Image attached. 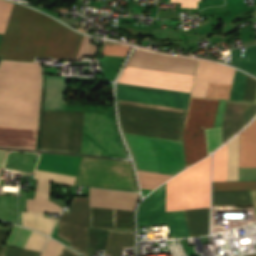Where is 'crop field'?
<instances>
[{"instance_id":"d3111659","label":"crop field","mask_w":256,"mask_h":256,"mask_svg":"<svg viewBox=\"0 0 256 256\" xmlns=\"http://www.w3.org/2000/svg\"><path fill=\"white\" fill-rule=\"evenodd\" d=\"M63 244L50 239L48 242V245L43 253L42 256H56L61 249ZM57 256H80L76 252L72 251L68 247L64 246L60 250L59 254Z\"/></svg>"},{"instance_id":"22f410ed","label":"crop field","mask_w":256,"mask_h":256,"mask_svg":"<svg viewBox=\"0 0 256 256\" xmlns=\"http://www.w3.org/2000/svg\"><path fill=\"white\" fill-rule=\"evenodd\" d=\"M255 116L256 103L227 100L222 124L223 144L236 135Z\"/></svg>"},{"instance_id":"e1f06a70","label":"crop field","mask_w":256,"mask_h":256,"mask_svg":"<svg viewBox=\"0 0 256 256\" xmlns=\"http://www.w3.org/2000/svg\"><path fill=\"white\" fill-rule=\"evenodd\" d=\"M129 49H130L129 46H123V45H116V44H113V46L104 45L102 54L126 56Z\"/></svg>"},{"instance_id":"5d738f31","label":"crop field","mask_w":256,"mask_h":256,"mask_svg":"<svg viewBox=\"0 0 256 256\" xmlns=\"http://www.w3.org/2000/svg\"><path fill=\"white\" fill-rule=\"evenodd\" d=\"M250 192V195H251V198H252V201H253V205H254V209H255V212H256V191H249Z\"/></svg>"},{"instance_id":"28ad6ade","label":"crop field","mask_w":256,"mask_h":256,"mask_svg":"<svg viewBox=\"0 0 256 256\" xmlns=\"http://www.w3.org/2000/svg\"><path fill=\"white\" fill-rule=\"evenodd\" d=\"M74 185L138 191L130 162L85 157Z\"/></svg>"},{"instance_id":"d9b57169","label":"crop field","mask_w":256,"mask_h":256,"mask_svg":"<svg viewBox=\"0 0 256 256\" xmlns=\"http://www.w3.org/2000/svg\"><path fill=\"white\" fill-rule=\"evenodd\" d=\"M256 166V119L240 133L239 167Z\"/></svg>"},{"instance_id":"d1516ede","label":"crop field","mask_w":256,"mask_h":256,"mask_svg":"<svg viewBox=\"0 0 256 256\" xmlns=\"http://www.w3.org/2000/svg\"><path fill=\"white\" fill-rule=\"evenodd\" d=\"M82 157L42 153L38 162V170L76 175ZM35 171L38 178L35 199L48 200L50 182L73 185L75 177L44 171Z\"/></svg>"},{"instance_id":"4177f3b9","label":"crop field","mask_w":256,"mask_h":256,"mask_svg":"<svg viewBox=\"0 0 256 256\" xmlns=\"http://www.w3.org/2000/svg\"><path fill=\"white\" fill-rule=\"evenodd\" d=\"M62 208L50 201L27 199L26 211L60 213Z\"/></svg>"},{"instance_id":"ac0d7876","label":"crop field","mask_w":256,"mask_h":256,"mask_svg":"<svg viewBox=\"0 0 256 256\" xmlns=\"http://www.w3.org/2000/svg\"><path fill=\"white\" fill-rule=\"evenodd\" d=\"M82 35L63 24L23 6L13 5L11 15L0 47L2 59L33 61L38 57H75ZM84 36L79 55H94L96 46L89 45Z\"/></svg>"},{"instance_id":"ae1a2a85","label":"crop field","mask_w":256,"mask_h":256,"mask_svg":"<svg viewBox=\"0 0 256 256\" xmlns=\"http://www.w3.org/2000/svg\"><path fill=\"white\" fill-rule=\"evenodd\" d=\"M256 190V182H213V191Z\"/></svg>"},{"instance_id":"e52e79f7","label":"crop field","mask_w":256,"mask_h":256,"mask_svg":"<svg viewBox=\"0 0 256 256\" xmlns=\"http://www.w3.org/2000/svg\"><path fill=\"white\" fill-rule=\"evenodd\" d=\"M123 135L137 170L175 175L184 168L182 142Z\"/></svg>"},{"instance_id":"4a817a6b","label":"crop field","mask_w":256,"mask_h":256,"mask_svg":"<svg viewBox=\"0 0 256 256\" xmlns=\"http://www.w3.org/2000/svg\"><path fill=\"white\" fill-rule=\"evenodd\" d=\"M65 77L47 76L44 110H62Z\"/></svg>"},{"instance_id":"730fd06b","label":"crop field","mask_w":256,"mask_h":256,"mask_svg":"<svg viewBox=\"0 0 256 256\" xmlns=\"http://www.w3.org/2000/svg\"><path fill=\"white\" fill-rule=\"evenodd\" d=\"M247 77V74L236 70L229 99L242 100Z\"/></svg>"},{"instance_id":"1d83c4d3","label":"crop field","mask_w":256,"mask_h":256,"mask_svg":"<svg viewBox=\"0 0 256 256\" xmlns=\"http://www.w3.org/2000/svg\"><path fill=\"white\" fill-rule=\"evenodd\" d=\"M231 85L209 83L206 97L228 99Z\"/></svg>"},{"instance_id":"eef30255","label":"crop field","mask_w":256,"mask_h":256,"mask_svg":"<svg viewBox=\"0 0 256 256\" xmlns=\"http://www.w3.org/2000/svg\"><path fill=\"white\" fill-rule=\"evenodd\" d=\"M225 146L213 153L212 181H223Z\"/></svg>"},{"instance_id":"5a996713","label":"crop field","mask_w":256,"mask_h":256,"mask_svg":"<svg viewBox=\"0 0 256 256\" xmlns=\"http://www.w3.org/2000/svg\"><path fill=\"white\" fill-rule=\"evenodd\" d=\"M123 133L182 140L185 114L118 105Z\"/></svg>"},{"instance_id":"dafd665d","label":"crop field","mask_w":256,"mask_h":256,"mask_svg":"<svg viewBox=\"0 0 256 256\" xmlns=\"http://www.w3.org/2000/svg\"><path fill=\"white\" fill-rule=\"evenodd\" d=\"M239 135L227 143L226 181L238 180Z\"/></svg>"},{"instance_id":"412701ff","label":"crop field","mask_w":256,"mask_h":256,"mask_svg":"<svg viewBox=\"0 0 256 256\" xmlns=\"http://www.w3.org/2000/svg\"><path fill=\"white\" fill-rule=\"evenodd\" d=\"M40 63H0V125L38 127Z\"/></svg>"},{"instance_id":"34b2d1b8","label":"crop field","mask_w":256,"mask_h":256,"mask_svg":"<svg viewBox=\"0 0 256 256\" xmlns=\"http://www.w3.org/2000/svg\"><path fill=\"white\" fill-rule=\"evenodd\" d=\"M85 111H44L40 150L81 154ZM83 155L129 159L114 111H86Z\"/></svg>"},{"instance_id":"d23c7cc5","label":"crop field","mask_w":256,"mask_h":256,"mask_svg":"<svg viewBox=\"0 0 256 256\" xmlns=\"http://www.w3.org/2000/svg\"><path fill=\"white\" fill-rule=\"evenodd\" d=\"M6 234L7 233L0 232V252H1L2 248H3L2 243H3L4 239H5Z\"/></svg>"},{"instance_id":"03da06ac","label":"crop field","mask_w":256,"mask_h":256,"mask_svg":"<svg viewBox=\"0 0 256 256\" xmlns=\"http://www.w3.org/2000/svg\"><path fill=\"white\" fill-rule=\"evenodd\" d=\"M197 1L200 0H170V2H181V7L197 8Z\"/></svg>"},{"instance_id":"8a807250","label":"crop field","mask_w":256,"mask_h":256,"mask_svg":"<svg viewBox=\"0 0 256 256\" xmlns=\"http://www.w3.org/2000/svg\"><path fill=\"white\" fill-rule=\"evenodd\" d=\"M196 62L194 59L135 49L126 66L194 76ZM128 67L123 69L118 82L187 93L191 91L194 77ZM120 83L116 86L117 99L184 109L187 107L190 94Z\"/></svg>"},{"instance_id":"214f88e0","label":"crop field","mask_w":256,"mask_h":256,"mask_svg":"<svg viewBox=\"0 0 256 256\" xmlns=\"http://www.w3.org/2000/svg\"><path fill=\"white\" fill-rule=\"evenodd\" d=\"M230 52L232 66L243 69L256 76V45L245 47L246 58H241L240 48L230 50Z\"/></svg>"},{"instance_id":"a9b5d70f","label":"crop field","mask_w":256,"mask_h":256,"mask_svg":"<svg viewBox=\"0 0 256 256\" xmlns=\"http://www.w3.org/2000/svg\"><path fill=\"white\" fill-rule=\"evenodd\" d=\"M141 188L153 189L168 178L170 175L154 174L137 171Z\"/></svg>"},{"instance_id":"0bd39190","label":"crop field","mask_w":256,"mask_h":256,"mask_svg":"<svg viewBox=\"0 0 256 256\" xmlns=\"http://www.w3.org/2000/svg\"><path fill=\"white\" fill-rule=\"evenodd\" d=\"M255 93H256V79L249 76L243 100L254 101Z\"/></svg>"},{"instance_id":"bc2a9ffb","label":"crop field","mask_w":256,"mask_h":256,"mask_svg":"<svg viewBox=\"0 0 256 256\" xmlns=\"http://www.w3.org/2000/svg\"><path fill=\"white\" fill-rule=\"evenodd\" d=\"M89 227L117 230V210L89 207Z\"/></svg>"},{"instance_id":"3316defc","label":"crop field","mask_w":256,"mask_h":256,"mask_svg":"<svg viewBox=\"0 0 256 256\" xmlns=\"http://www.w3.org/2000/svg\"><path fill=\"white\" fill-rule=\"evenodd\" d=\"M218 102L191 97L183 130L186 167L207 156L204 128L213 127Z\"/></svg>"},{"instance_id":"bd1437ed","label":"crop field","mask_w":256,"mask_h":256,"mask_svg":"<svg viewBox=\"0 0 256 256\" xmlns=\"http://www.w3.org/2000/svg\"><path fill=\"white\" fill-rule=\"evenodd\" d=\"M208 154L222 145L221 127L206 129Z\"/></svg>"},{"instance_id":"028f5c9d","label":"crop field","mask_w":256,"mask_h":256,"mask_svg":"<svg viewBox=\"0 0 256 256\" xmlns=\"http://www.w3.org/2000/svg\"><path fill=\"white\" fill-rule=\"evenodd\" d=\"M40 252L4 247L0 256H39Z\"/></svg>"},{"instance_id":"b54c1fbb","label":"crop field","mask_w":256,"mask_h":256,"mask_svg":"<svg viewBox=\"0 0 256 256\" xmlns=\"http://www.w3.org/2000/svg\"><path fill=\"white\" fill-rule=\"evenodd\" d=\"M6 151H7V150H1V149H0V172H1V169H2V167H3V163H4Z\"/></svg>"},{"instance_id":"d32e631a","label":"crop field","mask_w":256,"mask_h":256,"mask_svg":"<svg viewBox=\"0 0 256 256\" xmlns=\"http://www.w3.org/2000/svg\"><path fill=\"white\" fill-rule=\"evenodd\" d=\"M47 239V237L32 231L25 247L41 251Z\"/></svg>"},{"instance_id":"c21b1889","label":"crop field","mask_w":256,"mask_h":256,"mask_svg":"<svg viewBox=\"0 0 256 256\" xmlns=\"http://www.w3.org/2000/svg\"><path fill=\"white\" fill-rule=\"evenodd\" d=\"M120 103L123 104H130V105H136V106H143V107H151V108H159V109H166V110H174L179 111L183 113V109H177V108H170V107H163V106H155V105H147V104H141V103H134V102H128V101H120Z\"/></svg>"},{"instance_id":"425ffa30","label":"crop field","mask_w":256,"mask_h":256,"mask_svg":"<svg viewBox=\"0 0 256 256\" xmlns=\"http://www.w3.org/2000/svg\"><path fill=\"white\" fill-rule=\"evenodd\" d=\"M246 256H256L255 254H250V255H246Z\"/></svg>"},{"instance_id":"00972430","label":"crop field","mask_w":256,"mask_h":256,"mask_svg":"<svg viewBox=\"0 0 256 256\" xmlns=\"http://www.w3.org/2000/svg\"><path fill=\"white\" fill-rule=\"evenodd\" d=\"M219 65L199 59L195 80L215 83Z\"/></svg>"},{"instance_id":"5866460e","label":"crop field","mask_w":256,"mask_h":256,"mask_svg":"<svg viewBox=\"0 0 256 256\" xmlns=\"http://www.w3.org/2000/svg\"><path fill=\"white\" fill-rule=\"evenodd\" d=\"M234 72H235L234 69L225 65H220L216 83L231 84L234 76Z\"/></svg>"},{"instance_id":"f4fd0767","label":"crop field","mask_w":256,"mask_h":256,"mask_svg":"<svg viewBox=\"0 0 256 256\" xmlns=\"http://www.w3.org/2000/svg\"><path fill=\"white\" fill-rule=\"evenodd\" d=\"M166 183L141 202L137 226L168 224L173 237H181V211L165 212ZM209 208L182 211V237L208 235Z\"/></svg>"},{"instance_id":"d8731c3e","label":"crop field","mask_w":256,"mask_h":256,"mask_svg":"<svg viewBox=\"0 0 256 256\" xmlns=\"http://www.w3.org/2000/svg\"><path fill=\"white\" fill-rule=\"evenodd\" d=\"M210 157L167 182L166 211L209 207Z\"/></svg>"},{"instance_id":"733c2abd","label":"crop field","mask_w":256,"mask_h":256,"mask_svg":"<svg viewBox=\"0 0 256 256\" xmlns=\"http://www.w3.org/2000/svg\"><path fill=\"white\" fill-rule=\"evenodd\" d=\"M252 206L248 191L211 192V208Z\"/></svg>"},{"instance_id":"cbeb9de0","label":"crop field","mask_w":256,"mask_h":256,"mask_svg":"<svg viewBox=\"0 0 256 256\" xmlns=\"http://www.w3.org/2000/svg\"><path fill=\"white\" fill-rule=\"evenodd\" d=\"M138 193L89 188V206L133 210Z\"/></svg>"},{"instance_id":"dd49c442","label":"crop field","mask_w":256,"mask_h":256,"mask_svg":"<svg viewBox=\"0 0 256 256\" xmlns=\"http://www.w3.org/2000/svg\"><path fill=\"white\" fill-rule=\"evenodd\" d=\"M69 213L62 212L57 236L68 241ZM69 247L88 256V197H73L70 210ZM134 247V233L109 230L104 255L119 256L120 249Z\"/></svg>"},{"instance_id":"750c4746","label":"crop field","mask_w":256,"mask_h":256,"mask_svg":"<svg viewBox=\"0 0 256 256\" xmlns=\"http://www.w3.org/2000/svg\"><path fill=\"white\" fill-rule=\"evenodd\" d=\"M30 233L31 230L15 225L6 244L24 247Z\"/></svg>"},{"instance_id":"b80d0937","label":"crop field","mask_w":256,"mask_h":256,"mask_svg":"<svg viewBox=\"0 0 256 256\" xmlns=\"http://www.w3.org/2000/svg\"><path fill=\"white\" fill-rule=\"evenodd\" d=\"M208 83L195 81L191 96L205 97Z\"/></svg>"},{"instance_id":"5142ce71","label":"crop field","mask_w":256,"mask_h":256,"mask_svg":"<svg viewBox=\"0 0 256 256\" xmlns=\"http://www.w3.org/2000/svg\"><path fill=\"white\" fill-rule=\"evenodd\" d=\"M35 130L0 127V146L34 149Z\"/></svg>"},{"instance_id":"92a150f3","label":"crop field","mask_w":256,"mask_h":256,"mask_svg":"<svg viewBox=\"0 0 256 256\" xmlns=\"http://www.w3.org/2000/svg\"><path fill=\"white\" fill-rule=\"evenodd\" d=\"M23 225L49 236L57 219L44 217V213L21 212Z\"/></svg>"},{"instance_id":"c035e120","label":"crop field","mask_w":256,"mask_h":256,"mask_svg":"<svg viewBox=\"0 0 256 256\" xmlns=\"http://www.w3.org/2000/svg\"><path fill=\"white\" fill-rule=\"evenodd\" d=\"M226 100H220L214 127L221 126Z\"/></svg>"},{"instance_id":"120bbe31","label":"crop field","mask_w":256,"mask_h":256,"mask_svg":"<svg viewBox=\"0 0 256 256\" xmlns=\"http://www.w3.org/2000/svg\"><path fill=\"white\" fill-rule=\"evenodd\" d=\"M12 2L0 0V34L4 33L5 26L10 14ZM3 35H0V43Z\"/></svg>"},{"instance_id":"25e5ab78","label":"crop field","mask_w":256,"mask_h":256,"mask_svg":"<svg viewBox=\"0 0 256 256\" xmlns=\"http://www.w3.org/2000/svg\"><path fill=\"white\" fill-rule=\"evenodd\" d=\"M2 56H0V59H1Z\"/></svg>"},{"instance_id":"73cf0c24","label":"crop field","mask_w":256,"mask_h":256,"mask_svg":"<svg viewBox=\"0 0 256 256\" xmlns=\"http://www.w3.org/2000/svg\"><path fill=\"white\" fill-rule=\"evenodd\" d=\"M255 101H256V99H255Z\"/></svg>"}]
</instances>
